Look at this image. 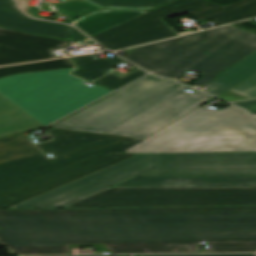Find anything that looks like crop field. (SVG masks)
<instances>
[{
    "label": "crop field",
    "mask_w": 256,
    "mask_h": 256,
    "mask_svg": "<svg viewBox=\"0 0 256 256\" xmlns=\"http://www.w3.org/2000/svg\"><path fill=\"white\" fill-rule=\"evenodd\" d=\"M62 14L70 17H78L98 8L84 2L71 1L55 6Z\"/></svg>",
    "instance_id": "21"
},
{
    "label": "crop field",
    "mask_w": 256,
    "mask_h": 256,
    "mask_svg": "<svg viewBox=\"0 0 256 256\" xmlns=\"http://www.w3.org/2000/svg\"><path fill=\"white\" fill-rule=\"evenodd\" d=\"M242 151H256V123L230 105L215 111L201 106L126 153Z\"/></svg>",
    "instance_id": "5"
},
{
    "label": "crop field",
    "mask_w": 256,
    "mask_h": 256,
    "mask_svg": "<svg viewBox=\"0 0 256 256\" xmlns=\"http://www.w3.org/2000/svg\"><path fill=\"white\" fill-rule=\"evenodd\" d=\"M131 256V255H124ZM149 256H256V254H216V255H149Z\"/></svg>",
    "instance_id": "25"
},
{
    "label": "crop field",
    "mask_w": 256,
    "mask_h": 256,
    "mask_svg": "<svg viewBox=\"0 0 256 256\" xmlns=\"http://www.w3.org/2000/svg\"><path fill=\"white\" fill-rule=\"evenodd\" d=\"M138 142L131 137L84 133L36 144L54 156L47 158L22 134L0 138V192L94 154L123 152Z\"/></svg>",
    "instance_id": "6"
},
{
    "label": "crop field",
    "mask_w": 256,
    "mask_h": 256,
    "mask_svg": "<svg viewBox=\"0 0 256 256\" xmlns=\"http://www.w3.org/2000/svg\"><path fill=\"white\" fill-rule=\"evenodd\" d=\"M234 104L239 105V106L247 109L251 114L256 113V100L237 102V103H234Z\"/></svg>",
    "instance_id": "24"
},
{
    "label": "crop field",
    "mask_w": 256,
    "mask_h": 256,
    "mask_svg": "<svg viewBox=\"0 0 256 256\" xmlns=\"http://www.w3.org/2000/svg\"><path fill=\"white\" fill-rule=\"evenodd\" d=\"M256 205V188H108L63 208Z\"/></svg>",
    "instance_id": "9"
},
{
    "label": "crop field",
    "mask_w": 256,
    "mask_h": 256,
    "mask_svg": "<svg viewBox=\"0 0 256 256\" xmlns=\"http://www.w3.org/2000/svg\"><path fill=\"white\" fill-rule=\"evenodd\" d=\"M114 65H104V66H94V67H84L81 68L80 70L76 71L75 75L82 77L87 80H94L106 73H109L107 70L114 67ZM93 82V81H92Z\"/></svg>",
    "instance_id": "22"
},
{
    "label": "crop field",
    "mask_w": 256,
    "mask_h": 256,
    "mask_svg": "<svg viewBox=\"0 0 256 256\" xmlns=\"http://www.w3.org/2000/svg\"><path fill=\"white\" fill-rule=\"evenodd\" d=\"M138 154H100L83 159L30 182L0 193V209H7L32 197L73 182Z\"/></svg>",
    "instance_id": "10"
},
{
    "label": "crop field",
    "mask_w": 256,
    "mask_h": 256,
    "mask_svg": "<svg viewBox=\"0 0 256 256\" xmlns=\"http://www.w3.org/2000/svg\"><path fill=\"white\" fill-rule=\"evenodd\" d=\"M70 32H71L72 41H74V42H77V41H80V40L86 38L84 35H82L80 32H78L71 26H70Z\"/></svg>",
    "instance_id": "26"
},
{
    "label": "crop field",
    "mask_w": 256,
    "mask_h": 256,
    "mask_svg": "<svg viewBox=\"0 0 256 256\" xmlns=\"http://www.w3.org/2000/svg\"><path fill=\"white\" fill-rule=\"evenodd\" d=\"M144 73L142 70L138 69L124 77L118 76L116 74L110 73L104 77H102L101 79L95 81L96 83L103 85L105 87H108L112 90H115L141 76H143Z\"/></svg>",
    "instance_id": "20"
},
{
    "label": "crop field",
    "mask_w": 256,
    "mask_h": 256,
    "mask_svg": "<svg viewBox=\"0 0 256 256\" xmlns=\"http://www.w3.org/2000/svg\"><path fill=\"white\" fill-rule=\"evenodd\" d=\"M8 13L21 14V13L17 10V8L15 7L13 1H12V3H11V6H10L9 10H8ZM21 15H22V14H21Z\"/></svg>",
    "instance_id": "28"
},
{
    "label": "crop field",
    "mask_w": 256,
    "mask_h": 256,
    "mask_svg": "<svg viewBox=\"0 0 256 256\" xmlns=\"http://www.w3.org/2000/svg\"><path fill=\"white\" fill-rule=\"evenodd\" d=\"M186 12L198 23L214 19L222 25L255 17L256 0H241L225 7L205 0H176L91 37L113 51L176 36L160 19Z\"/></svg>",
    "instance_id": "8"
},
{
    "label": "crop field",
    "mask_w": 256,
    "mask_h": 256,
    "mask_svg": "<svg viewBox=\"0 0 256 256\" xmlns=\"http://www.w3.org/2000/svg\"><path fill=\"white\" fill-rule=\"evenodd\" d=\"M256 97V74L218 98L235 101Z\"/></svg>",
    "instance_id": "19"
},
{
    "label": "crop field",
    "mask_w": 256,
    "mask_h": 256,
    "mask_svg": "<svg viewBox=\"0 0 256 256\" xmlns=\"http://www.w3.org/2000/svg\"><path fill=\"white\" fill-rule=\"evenodd\" d=\"M76 67L70 58L50 60L44 62L30 63L24 65L10 66L0 68V78L19 73H27L33 71L63 69Z\"/></svg>",
    "instance_id": "17"
},
{
    "label": "crop field",
    "mask_w": 256,
    "mask_h": 256,
    "mask_svg": "<svg viewBox=\"0 0 256 256\" xmlns=\"http://www.w3.org/2000/svg\"><path fill=\"white\" fill-rule=\"evenodd\" d=\"M99 8L154 9L171 0H85Z\"/></svg>",
    "instance_id": "18"
},
{
    "label": "crop field",
    "mask_w": 256,
    "mask_h": 256,
    "mask_svg": "<svg viewBox=\"0 0 256 256\" xmlns=\"http://www.w3.org/2000/svg\"><path fill=\"white\" fill-rule=\"evenodd\" d=\"M19 74L0 79V94L46 126L111 92L70 74L76 70Z\"/></svg>",
    "instance_id": "7"
},
{
    "label": "crop field",
    "mask_w": 256,
    "mask_h": 256,
    "mask_svg": "<svg viewBox=\"0 0 256 256\" xmlns=\"http://www.w3.org/2000/svg\"><path fill=\"white\" fill-rule=\"evenodd\" d=\"M94 44L90 39L86 38L78 43H74L75 46H80V45H91Z\"/></svg>",
    "instance_id": "27"
},
{
    "label": "crop field",
    "mask_w": 256,
    "mask_h": 256,
    "mask_svg": "<svg viewBox=\"0 0 256 256\" xmlns=\"http://www.w3.org/2000/svg\"><path fill=\"white\" fill-rule=\"evenodd\" d=\"M69 42L0 28V66L56 57Z\"/></svg>",
    "instance_id": "11"
},
{
    "label": "crop field",
    "mask_w": 256,
    "mask_h": 256,
    "mask_svg": "<svg viewBox=\"0 0 256 256\" xmlns=\"http://www.w3.org/2000/svg\"><path fill=\"white\" fill-rule=\"evenodd\" d=\"M148 11L132 10H106L87 14L73 22V25L81 29L87 35L103 31L126 20L134 18Z\"/></svg>",
    "instance_id": "14"
},
{
    "label": "crop field",
    "mask_w": 256,
    "mask_h": 256,
    "mask_svg": "<svg viewBox=\"0 0 256 256\" xmlns=\"http://www.w3.org/2000/svg\"><path fill=\"white\" fill-rule=\"evenodd\" d=\"M41 127L40 123L0 95V137Z\"/></svg>",
    "instance_id": "15"
},
{
    "label": "crop field",
    "mask_w": 256,
    "mask_h": 256,
    "mask_svg": "<svg viewBox=\"0 0 256 256\" xmlns=\"http://www.w3.org/2000/svg\"><path fill=\"white\" fill-rule=\"evenodd\" d=\"M148 75L52 125V128L131 136L144 140L212 97Z\"/></svg>",
    "instance_id": "2"
},
{
    "label": "crop field",
    "mask_w": 256,
    "mask_h": 256,
    "mask_svg": "<svg viewBox=\"0 0 256 256\" xmlns=\"http://www.w3.org/2000/svg\"><path fill=\"white\" fill-rule=\"evenodd\" d=\"M138 175L256 176V152L141 154L9 209L60 208Z\"/></svg>",
    "instance_id": "3"
},
{
    "label": "crop field",
    "mask_w": 256,
    "mask_h": 256,
    "mask_svg": "<svg viewBox=\"0 0 256 256\" xmlns=\"http://www.w3.org/2000/svg\"><path fill=\"white\" fill-rule=\"evenodd\" d=\"M12 0H0V27L64 38L69 40L68 25L38 21L25 16L8 14Z\"/></svg>",
    "instance_id": "13"
},
{
    "label": "crop field",
    "mask_w": 256,
    "mask_h": 256,
    "mask_svg": "<svg viewBox=\"0 0 256 256\" xmlns=\"http://www.w3.org/2000/svg\"><path fill=\"white\" fill-rule=\"evenodd\" d=\"M113 187H256V177L138 176Z\"/></svg>",
    "instance_id": "12"
},
{
    "label": "crop field",
    "mask_w": 256,
    "mask_h": 256,
    "mask_svg": "<svg viewBox=\"0 0 256 256\" xmlns=\"http://www.w3.org/2000/svg\"><path fill=\"white\" fill-rule=\"evenodd\" d=\"M72 59L77 64L78 67L125 62L121 59H109V58L93 60L94 58L92 59L91 55L74 57Z\"/></svg>",
    "instance_id": "23"
},
{
    "label": "crop field",
    "mask_w": 256,
    "mask_h": 256,
    "mask_svg": "<svg viewBox=\"0 0 256 256\" xmlns=\"http://www.w3.org/2000/svg\"><path fill=\"white\" fill-rule=\"evenodd\" d=\"M255 50V34L227 26L138 47L122 58L175 80L197 71L203 75L191 85L202 87Z\"/></svg>",
    "instance_id": "4"
},
{
    "label": "crop field",
    "mask_w": 256,
    "mask_h": 256,
    "mask_svg": "<svg viewBox=\"0 0 256 256\" xmlns=\"http://www.w3.org/2000/svg\"><path fill=\"white\" fill-rule=\"evenodd\" d=\"M256 252V206L0 210V244L22 255L69 254L102 243L110 253Z\"/></svg>",
    "instance_id": "1"
},
{
    "label": "crop field",
    "mask_w": 256,
    "mask_h": 256,
    "mask_svg": "<svg viewBox=\"0 0 256 256\" xmlns=\"http://www.w3.org/2000/svg\"><path fill=\"white\" fill-rule=\"evenodd\" d=\"M256 73V51L218 76L205 87V92L217 96L237 83Z\"/></svg>",
    "instance_id": "16"
}]
</instances>
